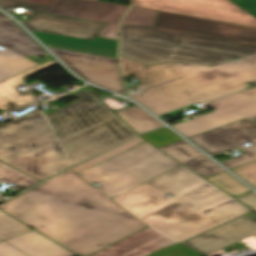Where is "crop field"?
<instances>
[{
  "label": "crop field",
  "instance_id": "obj_24",
  "mask_svg": "<svg viewBox=\"0 0 256 256\" xmlns=\"http://www.w3.org/2000/svg\"><path fill=\"white\" fill-rule=\"evenodd\" d=\"M4 178L11 181L12 184L22 187L24 189L40 182L2 162H0V179ZM0 201H3L0 199Z\"/></svg>",
  "mask_w": 256,
  "mask_h": 256
},
{
  "label": "crop field",
  "instance_id": "obj_12",
  "mask_svg": "<svg viewBox=\"0 0 256 256\" xmlns=\"http://www.w3.org/2000/svg\"><path fill=\"white\" fill-rule=\"evenodd\" d=\"M210 155L234 147H244L241 144L256 143V126L245 119L216 130L189 138Z\"/></svg>",
  "mask_w": 256,
  "mask_h": 256
},
{
  "label": "crop field",
  "instance_id": "obj_11",
  "mask_svg": "<svg viewBox=\"0 0 256 256\" xmlns=\"http://www.w3.org/2000/svg\"><path fill=\"white\" fill-rule=\"evenodd\" d=\"M255 233L256 219L243 215L183 244L207 255Z\"/></svg>",
  "mask_w": 256,
  "mask_h": 256
},
{
  "label": "crop field",
  "instance_id": "obj_35",
  "mask_svg": "<svg viewBox=\"0 0 256 256\" xmlns=\"http://www.w3.org/2000/svg\"><path fill=\"white\" fill-rule=\"evenodd\" d=\"M239 200L256 211V193L239 198Z\"/></svg>",
  "mask_w": 256,
  "mask_h": 256
},
{
  "label": "crop field",
  "instance_id": "obj_19",
  "mask_svg": "<svg viewBox=\"0 0 256 256\" xmlns=\"http://www.w3.org/2000/svg\"><path fill=\"white\" fill-rule=\"evenodd\" d=\"M115 114L138 134L164 126L137 105L115 112Z\"/></svg>",
  "mask_w": 256,
  "mask_h": 256
},
{
  "label": "crop field",
  "instance_id": "obj_27",
  "mask_svg": "<svg viewBox=\"0 0 256 256\" xmlns=\"http://www.w3.org/2000/svg\"><path fill=\"white\" fill-rule=\"evenodd\" d=\"M142 138L159 147L175 141L182 140L167 127L142 135Z\"/></svg>",
  "mask_w": 256,
  "mask_h": 256
},
{
  "label": "crop field",
  "instance_id": "obj_38",
  "mask_svg": "<svg viewBox=\"0 0 256 256\" xmlns=\"http://www.w3.org/2000/svg\"><path fill=\"white\" fill-rule=\"evenodd\" d=\"M0 242H2V241L0 240Z\"/></svg>",
  "mask_w": 256,
  "mask_h": 256
},
{
  "label": "crop field",
  "instance_id": "obj_8",
  "mask_svg": "<svg viewBox=\"0 0 256 256\" xmlns=\"http://www.w3.org/2000/svg\"><path fill=\"white\" fill-rule=\"evenodd\" d=\"M181 166L179 163L144 142L80 174L109 198Z\"/></svg>",
  "mask_w": 256,
  "mask_h": 256
},
{
  "label": "crop field",
  "instance_id": "obj_3",
  "mask_svg": "<svg viewBox=\"0 0 256 256\" xmlns=\"http://www.w3.org/2000/svg\"><path fill=\"white\" fill-rule=\"evenodd\" d=\"M167 193L173 197L164 196ZM230 199L233 198L181 166L113 200L148 226L180 243L250 210L232 200L186 221L159 213L181 204L198 214Z\"/></svg>",
  "mask_w": 256,
  "mask_h": 256
},
{
  "label": "crop field",
  "instance_id": "obj_18",
  "mask_svg": "<svg viewBox=\"0 0 256 256\" xmlns=\"http://www.w3.org/2000/svg\"><path fill=\"white\" fill-rule=\"evenodd\" d=\"M57 64L55 60L39 65L0 83V110L4 111L17 105L31 103L32 95H22L12 88L24 83L23 78Z\"/></svg>",
  "mask_w": 256,
  "mask_h": 256
},
{
  "label": "crop field",
  "instance_id": "obj_20",
  "mask_svg": "<svg viewBox=\"0 0 256 256\" xmlns=\"http://www.w3.org/2000/svg\"><path fill=\"white\" fill-rule=\"evenodd\" d=\"M39 65L8 50H0V82Z\"/></svg>",
  "mask_w": 256,
  "mask_h": 256
},
{
  "label": "crop field",
  "instance_id": "obj_23",
  "mask_svg": "<svg viewBox=\"0 0 256 256\" xmlns=\"http://www.w3.org/2000/svg\"><path fill=\"white\" fill-rule=\"evenodd\" d=\"M159 11L133 7L122 24L154 26Z\"/></svg>",
  "mask_w": 256,
  "mask_h": 256
},
{
  "label": "crop field",
  "instance_id": "obj_32",
  "mask_svg": "<svg viewBox=\"0 0 256 256\" xmlns=\"http://www.w3.org/2000/svg\"><path fill=\"white\" fill-rule=\"evenodd\" d=\"M223 204V203H222ZM162 215L166 216V217H169V216H173V215H176L184 220L196 215V214H191V213H188L187 212V209L178 205L170 210H167L163 213H161Z\"/></svg>",
  "mask_w": 256,
  "mask_h": 256
},
{
  "label": "crop field",
  "instance_id": "obj_21",
  "mask_svg": "<svg viewBox=\"0 0 256 256\" xmlns=\"http://www.w3.org/2000/svg\"><path fill=\"white\" fill-rule=\"evenodd\" d=\"M207 180L235 197L251 192L226 172L207 178Z\"/></svg>",
  "mask_w": 256,
  "mask_h": 256
},
{
  "label": "crop field",
  "instance_id": "obj_1",
  "mask_svg": "<svg viewBox=\"0 0 256 256\" xmlns=\"http://www.w3.org/2000/svg\"><path fill=\"white\" fill-rule=\"evenodd\" d=\"M0 209L79 256H88L145 227L70 171Z\"/></svg>",
  "mask_w": 256,
  "mask_h": 256
},
{
  "label": "crop field",
  "instance_id": "obj_14",
  "mask_svg": "<svg viewBox=\"0 0 256 256\" xmlns=\"http://www.w3.org/2000/svg\"><path fill=\"white\" fill-rule=\"evenodd\" d=\"M117 4L93 0H55L48 14L106 23Z\"/></svg>",
  "mask_w": 256,
  "mask_h": 256
},
{
  "label": "crop field",
  "instance_id": "obj_26",
  "mask_svg": "<svg viewBox=\"0 0 256 256\" xmlns=\"http://www.w3.org/2000/svg\"><path fill=\"white\" fill-rule=\"evenodd\" d=\"M130 7L119 5L110 19L107 21L106 26L99 34L100 37L110 38L117 40L118 25L120 20L126 14Z\"/></svg>",
  "mask_w": 256,
  "mask_h": 256
},
{
  "label": "crop field",
  "instance_id": "obj_17",
  "mask_svg": "<svg viewBox=\"0 0 256 256\" xmlns=\"http://www.w3.org/2000/svg\"><path fill=\"white\" fill-rule=\"evenodd\" d=\"M6 241L30 256H76L35 231Z\"/></svg>",
  "mask_w": 256,
  "mask_h": 256
},
{
  "label": "crop field",
  "instance_id": "obj_31",
  "mask_svg": "<svg viewBox=\"0 0 256 256\" xmlns=\"http://www.w3.org/2000/svg\"><path fill=\"white\" fill-rule=\"evenodd\" d=\"M20 6L33 8L34 11L42 12V13H46L47 9L49 8V6L47 5L35 4V3H29V2H22V1H16V0H0V7L3 9L7 7L17 8Z\"/></svg>",
  "mask_w": 256,
  "mask_h": 256
},
{
  "label": "crop field",
  "instance_id": "obj_4",
  "mask_svg": "<svg viewBox=\"0 0 256 256\" xmlns=\"http://www.w3.org/2000/svg\"><path fill=\"white\" fill-rule=\"evenodd\" d=\"M124 75L142 84L129 98L159 115L196 102H207L243 90L256 80V54L214 67L186 63L145 66L121 56Z\"/></svg>",
  "mask_w": 256,
  "mask_h": 256
},
{
  "label": "crop field",
  "instance_id": "obj_6",
  "mask_svg": "<svg viewBox=\"0 0 256 256\" xmlns=\"http://www.w3.org/2000/svg\"><path fill=\"white\" fill-rule=\"evenodd\" d=\"M86 89L74 94L80 99L46 114L73 166L137 135Z\"/></svg>",
  "mask_w": 256,
  "mask_h": 256
},
{
  "label": "crop field",
  "instance_id": "obj_7",
  "mask_svg": "<svg viewBox=\"0 0 256 256\" xmlns=\"http://www.w3.org/2000/svg\"><path fill=\"white\" fill-rule=\"evenodd\" d=\"M0 160L41 181L71 167L42 112L0 126Z\"/></svg>",
  "mask_w": 256,
  "mask_h": 256
},
{
  "label": "crop field",
  "instance_id": "obj_37",
  "mask_svg": "<svg viewBox=\"0 0 256 256\" xmlns=\"http://www.w3.org/2000/svg\"><path fill=\"white\" fill-rule=\"evenodd\" d=\"M2 18H7V17L0 13V19H2Z\"/></svg>",
  "mask_w": 256,
  "mask_h": 256
},
{
  "label": "crop field",
  "instance_id": "obj_28",
  "mask_svg": "<svg viewBox=\"0 0 256 256\" xmlns=\"http://www.w3.org/2000/svg\"><path fill=\"white\" fill-rule=\"evenodd\" d=\"M240 151L244 152L245 154L237 158L221 161L220 163H222L226 168L231 170V169L256 161V144L249 146L247 148H244Z\"/></svg>",
  "mask_w": 256,
  "mask_h": 256
},
{
  "label": "crop field",
  "instance_id": "obj_9",
  "mask_svg": "<svg viewBox=\"0 0 256 256\" xmlns=\"http://www.w3.org/2000/svg\"><path fill=\"white\" fill-rule=\"evenodd\" d=\"M208 104L216 110L172 127L189 138L245 118L256 124V87Z\"/></svg>",
  "mask_w": 256,
  "mask_h": 256
},
{
  "label": "crop field",
  "instance_id": "obj_16",
  "mask_svg": "<svg viewBox=\"0 0 256 256\" xmlns=\"http://www.w3.org/2000/svg\"><path fill=\"white\" fill-rule=\"evenodd\" d=\"M0 45L23 57L48 54L11 20L0 21Z\"/></svg>",
  "mask_w": 256,
  "mask_h": 256
},
{
  "label": "crop field",
  "instance_id": "obj_33",
  "mask_svg": "<svg viewBox=\"0 0 256 256\" xmlns=\"http://www.w3.org/2000/svg\"><path fill=\"white\" fill-rule=\"evenodd\" d=\"M230 1L240 6L245 11L256 8V0H230ZM248 12L254 17H256V9H253Z\"/></svg>",
  "mask_w": 256,
  "mask_h": 256
},
{
  "label": "crop field",
  "instance_id": "obj_29",
  "mask_svg": "<svg viewBox=\"0 0 256 256\" xmlns=\"http://www.w3.org/2000/svg\"><path fill=\"white\" fill-rule=\"evenodd\" d=\"M144 256H203L183 245H167Z\"/></svg>",
  "mask_w": 256,
  "mask_h": 256
},
{
  "label": "crop field",
  "instance_id": "obj_13",
  "mask_svg": "<svg viewBox=\"0 0 256 256\" xmlns=\"http://www.w3.org/2000/svg\"><path fill=\"white\" fill-rule=\"evenodd\" d=\"M167 244L178 243L149 227L92 256H142Z\"/></svg>",
  "mask_w": 256,
  "mask_h": 256
},
{
  "label": "crop field",
  "instance_id": "obj_36",
  "mask_svg": "<svg viewBox=\"0 0 256 256\" xmlns=\"http://www.w3.org/2000/svg\"><path fill=\"white\" fill-rule=\"evenodd\" d=\"M23 1H29V2H35V3H41V4L51 5V3H52L54 0H23Z\"/></svg>",
  "mask_w": 256,
  "mask_h": 256
},
{
  "label": "crop field",
  "instance_id": "obj_22",
  "mask_svg": "<svg viewBox=\"0 0 256 256\" xmlns=\"http://www.w3.org/2000/svg\"><path fill=\"white\" fill-rule=\"evenodd\" d=\"M30 231L33 230L0 211V238L6 240Z\"/></svg>",
  "mask_w": 256,
  "mask_h": 256
},
{
  "label": "crop field",
  "instance_id": "obj_30",
  "mask_svg": "<svg viewBox=\"0 0 256 256\" xmlns=\"http://www.w3.org/2000/svg\"><path fill=\"white\" fill-rule=\"evenodd\" d=\"M231 171L256 188V162Z\"/></svg>",
  "mask_w": 256,
  "mask_h": 256
},
{
  "label": "crop field",
  "instance_id": "obj_2",
  "mask_svg": "<svg viewBox=\"0 0 256 256\" xmlns=\"http://www.w3.org/2000/svg\"><path fill=\"white\" fill-rule=\"evenodd\" d=\"M256 52V28L161 12L155 27L121 25L120 54L146 65L216 66Z\"/></svg>",
  "mask_w": 256,
  "mask_h": 256
},
{
  "label": "crop field",
  "instance_id": "obj_5",
  "mask_svg": "<svg viewBox=\"0 0 256 256\" xmlns=\"http://www.w3.org/2000/svg\"><path fill=\"white\" fill-rule=\"evenodd\" d=\"M22 24L76 74L110 91L126 94L116 62L117 41L95 37L102 24L36 13Z\"/></svg>",
  "mask_w": 256,
  "mask_h": 256
},
{
  "label": "crop field",
  "instance_id": "obj_15",
  "mask_svg": "<svg viewBox=\"0 0 256 256\" xmlns=\"http://www.w3.org/2000/svg\"><path fill=\"white\" fill-rule=\"evenodd\" d=\"M159 149L204 178L224 172V170L184 140L159 147Z\"/></svg>",
  "mask_w": 256,
  "mask_h": 256
},
{
  "label": "crop field",
  "instance_id": "obj_10",
  "mask_svg": "<svg viewBox=\"0 0 256 256\" xmlns=\"http://www.w3.org/2000/svg\"><path fill=\"white\" fill-rule=\"evenodd\" d=\"M133 6L256 27V19L229 0H133Z\"/></svg>",
  "mask_w": 256,
  "mask_h": 256
},
{
  "label": "crop field",
  "instance_id": "obj_25",
  "mask_svg": "<svg viewBox=\"0 0 256 256\" xmlns=\"http://www.w3.org/2000/svg\"><path fill=\"white\" fill-rule=\"evenodd\" d=\"M142 142H144V140H142L140 137H138V138H136V139H134V140H132L128 143H125V144H123V145H121L117 148H114V149H112V150H110V151H108V152H106V153H104V154H102V155H100V156H98V157H96V158H94V159H92V160H90V161L72 169V170L75 173L78 174V173H80V172H82V171H84V170H86V169H88V168L106 160V159H109V158H111V157H113V156H115V155H117V154H119V153H121L125 150H128V149H130V148H132V147H134V146H136V145H138Z\"/></svg>",
  "mask_w": 256,
  "mask_h": 256
},
{
  "label": "crop field",
  "instance_id": "obj_34",
  "mask_svg": "<svg viewBox=\"0 0 256 256\" xmlns=\"http://www.w3.org/2000/svg\"><path fill=\"white\" fill-rule=\"evenodd\" d=\"M0 256H26L8 244L0 243Z\"/></svg>",
  "mask_w": 256,
  "mask_h": 256
}]
</instances>
